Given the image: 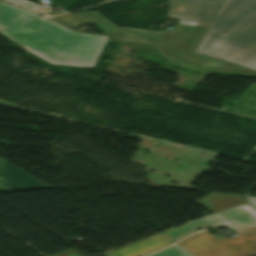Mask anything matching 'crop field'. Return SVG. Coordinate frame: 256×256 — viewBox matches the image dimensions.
I'll return each instance as SVG.
<instances>
[{
	"instance_id": "crop-field-16",
	"label": "crop field",
	"mask_w": 256,
	"mask_h": 256,
	"mask_svg": "<svg viewBox=\"0 0 256 256\" xmlns=\"http://www.w3.org/2000/svg\"><path fill=\"white\" fill-rule=\"evenodd\" d=\"M244 256H256V252L252 254L244 255Z\"/></svg>"
},
{
	"instance_id": "crop-field-3",
	"label": "crop field",
	"mask_w": 256,
	"mask_h": 256,
	"mask_svg": "<svg viewBox=\"0 0 256 256\" xmlns=\"http://www.w3.org/2000/svg\"><path fill=\"white\" fill-rule=\"evenodd\" d=\"M256 44V0H225L196 53L233 61Z\"/></svg>"
},
{
	"instance_id": "crop-field-1",
	"label": "crop field",
	"mask_w": 256,
	"mask_h": 256,
	"mask_svg": "<svg viewBox=\"0 0 256 256\" xmlns=\"http://www.w3.org/2000/svg\"><path fill=\"white\" fill-rule=\"evenodd\" d=\"M0 35L51 63L94 67L108 37L71 32L28 11L0 2Z\"/></svg>"
},
{
	"instance_id": "crop-field-15",
	"label": "crop field",
	"mask_w": 256,
	"mask_h": 256,
	"mask_svg": "<svg viewBox=\"0 0 256 256\" xmlns=\"http://www.w3.org/2000/svg\"><path fill=\"white\" fill-rule=\"evenodd\" d=\"M249 200L256 207V197H249Z\"/></svg>"
},
{
	"instance_id": "crop-field-4",
	"label": "crop field",
	"mask_w": 256,
	"mask_h": 256,
	"mask_svg": "<svg viewBox=\"0 0 256 256\" xmlns=\"http://www.w3.org/2000/svg\"><path fill=\"white\" fill-rule=\"evenodd\" d=\"M232 229L239 235L217 239L204 231L177 245L193 256H240L256 251V226Z\"/></svg>"
},
{
	"instance_id": "crop-field-12",
	"label": "crop field",
	"mask_w": 256,
	"mask_h": 256,
	"mask_svg": "<svg viewBox=\"0 0 256 256\" xmlns=\"http://www.w3.org/2000/svg\"><path fill=\"white\" fill-rule=\"evenodd\" d=\"M149 256H189L176 246L169 247L163 251L153 253Z\"/></svg>"
},
{
	"instance_id": "crop-field-6",
	"label": "crop field",
	"mask_w": 256,
	"mask_h": 256,
	"mask_svg": "<svg viewBox=\"0 0 256 256\" xmlns=\"http://www.w3.org/2000/svg\"><path fill=\"white\" fill-rule=\"evenodd\" d=\"M256 223V211L248 204L189 221L178 228L161 233L171 242L177 241L196 229L211 226H226Z\"/></svg>"
},
{
	"instance_id": "crop-field-13",
	"label": "crop field",
	"mask_w": 256,
	"mask_h": 256,
	"mask_svg": "<svg viewBox=\"0 0 256 256\" xmlns=\"http://www.w3.org/2000/svg\"><path fill=\"white\" fill-rule=\"evenodd\" d=\"M7 1L13 2L15 4H18L20 6L26 7V8L31 9V10H34V9L38 8L37 5L32 4L30 2H27L25 0H7Z\"/></svg>"
},
{
	"instance_id": "crop-field-2",
	"label": "crop field",
	"mask_w": 256,
	"mask_h": 256,
	"mask_svg": "<svg viewBox=\"0 0 256 256\" xmlns=\"http://www.w3.org/2000/svg\"><path fill=\"white\" fill-rule=\"evenodd\" d=\"M222 2L223 0H171L169 18L179 20L173 32L117 27L98 11L86 10L74 15L87 23L95 24L98 30L107 35L138 37L194 52Z\"/></svg>"
},
{
	"instance_id": "crop-field-11",
	"label": "crop field",
	"mask_w": 256,
	"mask_h": 256,
	"mask_svg": "<svg viewBox=\"0 0 256 256\" xmlns=\"http://www.w3.org/2000/svg\"><path fill=\"white\" fill-rule=\"evenodd\" d=\"M51 18L73 29L85 23L84 21L78 19L72 14L64 15L61 17H51Z\"/></svg>"
},
{
	"instance_id": "crop-field-5",
	"label": "crop field",
	"mask_w": 256,
	"mask_h": 256,
	"mask_svg": "<svg viewBox=\"0 0 256 256\" xmlns=\"http://www.w3.org/2000/svg\"><path fill=\"white\" fill-rule=\"evenodd\" d=\"M111 38L140 42V43L151 45L156 49L162 50V56L172 58L170 62L177 63L181 67H185V68H189V69H193V70H197L205 73L256 77L255 71H252L240 66H236L233 64L225 63L222 61L214 60L211 58H207L201 55L172 49L157 43H153L145 40L133 39V38H120V37H111Z\"/></svg>"
},
{
	"instance_id": "crop-field-8",
	"label": "crop field",
	"mask_w": 256,
	"mask_h": 256,
	"mask_svg": "<svg viewBox=\"0 0 256 256\" xmlns=\"http://www.w3.org/2000/svg\"><path fill=\"white\" fill-rule=\"evenodd\" d=\"M171 242L161 237L159 234L131 244L119 250L106 252V256H139L141 254L159 249Z\"/></svg>"
},
{
	"instance_id": "crop-field-9",
	"label": "crop field",
	"mask_w": 256,
	"mask_h": 256,
	"mask_svg": "<svg viewBox=\"0 0 256 256\" xmlns=\"http://www.w3.org/2000/svg\"><path fill=\"white\" fill-rule=\"evenodd\" d=\"M211 212L215 213L238 205L245 204L244 196L211 193L197 201Z\"/></svg>"
},
{
	"instance_id": "crop-field-10",
	"label": "crop field",
	"mask_w": 256,
	"mask_h": 256,
	"mask_svg": "<svg viewBox=\"0 0 256 256\" xmlns=\"http://www.w3.org/2000/svg\"><path fill=\"white\" fill-rule=\"evenodd\" d=\"M233 63L256 70V45L235 59Z\"/></svg>"
},
{
	"instance_id": "crop-field-7",
	"label": "crop field",
	"mask_w": 256,
	"mask_h": 256,
	"mask_svg": "<svg viewBox=\"0 0 256 256\" xmlns=\"http://www.w3.org/2000/svg\"><path fill=\"white\" fill-rule=\"evenodd\" d=\"M50 188L0 159V192Z\"/></svg>"
},
{
	"instance_id": "crop-field-14",
	"label": "crop field",
	"mask_w": 256,
	"mask_h": 256,
	"mask_svg": "<svg viewBox=\"0 0 256 256\" xmlns=\"http://www.w3.org/2000/svg\"><path fill=\"white\" fill-rule=\"evenodd\" d=\"M52 256H84L76 250L72 249Z\"/></svg>"
}]
</instances>
